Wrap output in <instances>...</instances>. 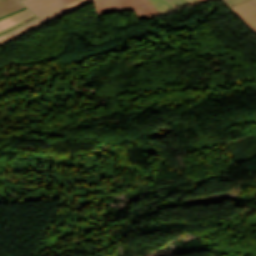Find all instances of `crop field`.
Masks as SVG:
<instances>
[{"mask_svg":"<svg viewBox=\"0 0 256 256\" xmlns=\"http://www.w3.org/2000/svg\"><path fill=\"white\" fill-rule=\"evenodd\" d=\"M96 16L133 10L138 18H151L161 13L149 0H95Z\"/></svg>","mask_w":256,"mask_h":256,"instance_id":"obj_1","label":"crop field"},{"mask_svg":"<svg viewBox=\"0 0 256 256\" xmlns=\"http://www.w3.org/2000/svg\"><path fill=\"white\" fill-rule=\"evenodd\" d=\"M256 34V0H249L230 8Z\"/></svg>","mask_w":256,"mask_h":256,"instance_id":"obj_2","label":"crop field"},{"mask_svg":"<svg viewBox=\"0 0 256 256\" xmlns=\"http://www.w3.org/2000/svg\"><path fill=\"white\" fill-rule=\"evenodd\" d=\"M75 1L77 0H22V3L39 16Z\"/></svg>","mask_w":256,"mask_h":256,"instance_id":"obj_3","label":"crop field"},{"mask_svg":"<svg viewBox=\"0 0 256 256\" xmlns=\"http://www.w3.org/2000/svg\"><path fill=\"white\" fill-rule=\"evenodd\" d=\"M44 25L38 18L29 22L28 24L18 28L17 30L7 34V35H4V36H1L0 37V45L4 44V43H7L13 39H16L40 26Z\"/></svg>","mask_w":256,"mask_h":256,"instance_id":"obj_4","label":"crop field"},{"mask_svg":"<svg viewBox=\"0 0 256 256\" xmlns=\"http://www.w3.org/2000/svg\"><path fill=\"white\" fill-rule=\"evenodd\" d=\"M90 1H92V0H80V1H77V2L72 3L70 5L64 6L62 8H59V9H56V10L51 11L49 13H46L44 15H41V16H39V18L42 19L46 23V22H49V21H51V20H53L57 17H60L64 14L68 13V12H70V11H72V10L90 2Z\"/></svg>","mask_w":256,"mask_h":256,"instance_id":"obj_5","label":"crop field"},{"mask_svg":"<svg viewBox=\"0 0 256 256\" xmlns=\"http://www.w3.org/2000/svg\"><path fill=\"white\" fill-rule=\"evenodd\" d=\"M33 16L28 10L18 13L16 15L10 16L0 21V32Z\"/></svg>","mask_w":256,"mask_h":256,"instance_id":"obj_6","label":"crop field"},{"mask_svg":"<svg viewBox=\"0 0 256 256\" xmlns=\"http://www.w3.org/2000/svg\"><path fill=\"white\" fill-rule=\"evenodd\" d=\"M24 8L20 0H0V16Z\"/></svg>","mask_w":256,"mask_h":256,"instance_id":"obj_7","label":"crop field"},{"mask_svg":"<svg viewBox=\"0 0 256 256\" xmlns=\"http://www.w3.org/2000/svg\"><path fill=\"white\" fill-rule=\"evenodd\" d=\"M154 6L162 13H168L175 10L170 4L165 0H150Z\"/></svg>","mask_w":256,"mask_h":256,"instance_id":"obj_8","label":"crop field"},{"mask_svg":"<svg viewBox=\"0 0 256 256\" xmlns=\"http://www.w3.org/2000/svg\"><path fill=\"white\" fill-rule=\"evenodd\" d=\"M175 9L190 5L187 0H166Z\"/></svg>","mask_w":256,"mask_h":256,"instance_id":"obj_9","label":"crop field"},{"mask_svg":"<svg viewBox=\"0 0 256 256\" xmlns=\"http://www.w3.org/2000/svg\"><path fill=\"white\" fill-rule=\"evenodd\" d=\"M35 18H37V17L34 16V17H32V18H30V19H28V20H26V21H24V22H22V23H20V24H18V25H16V26L12 27V28H10V29H7V30L1 32V33H0V36H1V35H4V34H7V33L11 32V31L17 29L18 27H20V26L26 24L27 22H29V21H31V20H33V19H35Z\"/></svg>","mask_w":256,"mask_h":256,"instance_id":"obj_10","label":"crop field"},{"mask_svg":"<svg viewBox=\"0 0 256 256\" xmlns=\"http://www.w3.org/2000/svg\"><path fill=\"white\" fill-rule=\"evenodd\" d=\"M229 7L234 6L238 3L244 2L246 0H223Z\"/></svg>","mask_w":256,"mask_h":256,"instance_id":"obj_11","label":"crop field"},{"mask_svg":"<svg viewBox=\"0 0 256 256\" xmlns=\"http://www.w3.org/2000/svg\"><path fill=\"white\" fill-rule=\"evenodd\" d=\"M190 2L191 5L197 4V3H201L207 0H188Z\"/></svg>","mask_w":256,"mask_h":256,"instance_id":"obj_12","label":"crop field"},{"mask_svg":"<svg viewBox=\"0 0 256 256\" xmlns=\"http://www.w3.org/2000/svg\"><path fill=\"white\" fill-rule=\"evenodd\" d=\"M24 10H26V8L21 9V10H18V11H16V12H13V13L8 14V15H5V16H3V17H0V20L3 19V18H5V17H8V16H10V15H13V14H16V13H18V12L24 11Z\"/></svg>","mask_w":256,"mask_h":256,"instance_id":"obj_13","label":"crop field"}]
</instances>
